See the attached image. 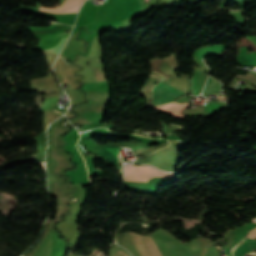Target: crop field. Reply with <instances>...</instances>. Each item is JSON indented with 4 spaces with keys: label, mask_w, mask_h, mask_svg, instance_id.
<instances>
[{
    "label": "crop field",
    "mask_w": 256,
    "mask_h": 256,
    "mask_svg": "<svg viewBox=\"0 0 256 256\" xmlns=\"http://www.w3.org/2000/svg\"><path fill=\"white\" fill-rule=\"evenodd\" d=\"M183 94L185 92L160 82L153 88V105L169 103Z\"/></svg>",
    "instance_id": "crop-field-2"
},
{
    "label": "crop field",
    "mask_w": 256,
    "mask_h": 256,
    "mask_svg": "<svg viewBox=\"0 0 256 256\" xmlns=\"http://www.w3.org/2000/svg\"><path fill=\"white\" fill-rule=\"evenodd\" d=\"M77 0H66L65 3L61 6V7H72L74 5V3ZM79 1V0H78ZM77 1V2H78ZM85 0H80L77 4V2L75 3V5L73 7L75 8H44L41 7V11H47V12H52V13H72V12H77L80 5L84 2Z\"/></svg>",
    "instance_id": "crop-field-3"
},
{
    "label": "crop field",
    "mask_w": 256,
    "mask_h": 256,
    "mask_svg": "<svg viewBox=\"0 0 256 256\" xmlns=\"http://www.w3.org/2000/svg\"><path fill=\"white\" fill-rule=\"evenodd\" d=\"M256 248V240H253L252 237L247 236L245 240L234 249L232 252L233 256H243L251 249Z\"/></svg>",
    "instance_id": "crop-field-4"
},
{
    "label": "crop field",
    "mask_w": 256,
    "mask_h": 256,
    "mask_svg": "<svg viewBox=\"0 0 256 256\" xmlns=\"http://www.w3.org/2000/svg\"><path fill=\"white\" fill-rule=\"evenodd\" d=\"M222 90V85L218 80L213 77H209L203 93L219 92Z\"/></svg>",
    "instance_id": "crop-field-7"
},
{
    "label": "crop field",
    "mask_w": 256,
    "mask_h": 256,
    "mask_svg": "<svg viewBox=\"0 0 256 256\" xmlns=\"http://www.w3.org/2000/svg\"><path fill=\"white\" fill-rule=\"evenodd\" d=\"M118 151H119L118 147L105 146V147H102L98 151L97 154L107 157L109 162L112 163V164H119ZM119 160H120V156H119Z\"/></svg>",
    "instance_id": "crop-field-5"
},
{
    "label": "crop field",
    "mask_w": 256,
    "mask_h": 256,
    "mask_svg": "<svg viewBox=\"0 0 256 256\" xmlns=\"http://www.w3.org/2000/svg\"><path fill=\"white\" fill-rule=\"evenodd\" d=\"M187 106H188L187 103H185V104L171 103V104H166V105H162V106H158V107H154V108L157 110H160V111L170 113L176 117L183 118L179 113H180L181 109H183Z\"/></svg>",
    "instance_id": "crop-field-6"
},
{
    "label": "crop field",
    "mask_w": 256,
    "mask_h": 256,
    "mask_svg": "<svg viewBox=\"0 0 256 256\" xmlns=\"http://www.w3.org/2000/svg\"><path fill=\"white\" fill-rule=\"evenodd\" d=\"M197 77L198 75H194L193 81H192V90L194 95H198L197 85H196Z\"/></svg>",
    "instance_id": "crop-field-9"
},
{
    "label": "crop field",
    "mask_w": 256,
    "mask_h": 256,
    "mask_svg": "<svg viewBox=\"0 0 256 256\" xmlns=\"http://www.w3.org/2000/svg\"><path fill=\"white\" fill-rule=\"evenodd\" d=\"M66 39H67V37L63 38L56 47H54L52 49H49V50H46V51L59 53V51L62 48L63 44L65 43Z\"/></svg>",
    "instance_id": "crop-field-8"
},
{
    "label": "crop field",
    "mask_w": 256,
    "mask_h": 256,
    "mask_svg": "<svg viewBox=\"0 0 256 256\" xmlns=\"http://www.w3.org/2000/svg\"><path fill=\"white\" fill-rule=\"evenodd\" d=\"M60 110H62L61 108H58L57 110H56V112H59Z\"/></svg>",
    "instance_id": "crop-field-10"
},
{
    "label": "crop field",
    "mask_w": 256,
    "mask_h": 256,
    "mask_svg": "<svg viewBox=\"0 0 256 256\" xmlns=\"http://www.w3.org/2000/svg\"><path fill=\"white\" fill-rule=\"evenodd\" d=\"M125 180L147 182L153 177H170L174 174L164 173L150 166L124 165Z\"/></svg>",
    "instance_id": "crop-field-1"
}]
</instances>
